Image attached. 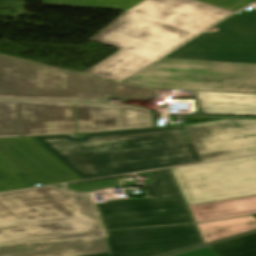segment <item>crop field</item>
Listing matches in <instances>:
<instances>
[{"instance_id":"8a807250","label":"crop field","mask_w":256,"mask_h":256,"mask_svg":"<svg viewBox=\"0 0 256 256\" xmlns=\"http://www.w3.org/2000/svg\"><path fill=\"white\" fill-rule=\"evenodd\" d=\"M88 194L39 188L0 194V256H159L203 244L196 225L105 231Z\"/></svg>"},{"instance_id":"ac0d7876","label":"crop field","mask_w":256,"mask_h":256,"mask_svg":"<svg viewBox=\"0 0 256 256\" xmlns=\"http://www.w3.org/2000/svg\"><path fill=\"white\" fill-rule=\"evenodd\" d=\"M33 137L83 179L256 154V119Z\"/></svg>"},{"instance_id":"34b2d1b8","label":"crop field","mask_w":256,"mask_h":256,"mask_svg":"<svg viewBox=\"0 0 256 256\" xmlns=\"http://www.w3.org/2000/svg\"><path fill=\"white\" fill-rule=\"evenodd\" d=\"M232 13L195 0H143L91 38L120 50L84 73L123 81Z\"/></svg>"},{"instance_id":"412701ff","label":"crop field","mask_w":256,"mask_h":256,"mask_svg":"<svg viewBox=\"0 0 256 256\" xmlns=\"http://www.w3.org/2000/svg\"><path fill=\"white\" fill-rule=\"evenodd\" d=\"M150 99L154 89L0 55V98L106 102Z\"/></svg>"},{"instance_id":"f4fd0767","label":"crop field","mask_w":256,"mask_h":256,"mask_svg":"<svg viewBox=\"0 0 256 256\" xmlns=\"http://www.w3.org/2000/svg\"><path fill=\"white\" fill-rule=\"evenodd\" d=\"M125 82L151 88L256 93V65L162 58Z\"/></svg>"},{"instance_id":"dd49c442","label":"crop field","mask_w":256,"mask_h":256,"mask_svg":"<svg viewBox=\"0 0 256 256\" xmlns=\"http://www.w3.org/2000/svg\"><path fill=\"white\" fill-rule=\"evenodd\" d=\"M171 171L188 205L256 195V156Z\"/></svg>"},{"instance_id":"e52e79f7","label":"crop field","mask_w":256,"mask_h":256,"mask_svg":"<svg viewBox=\"0 0 256 256\" xmlns=\"http://www.w3.org/2000/svg\"><path fill=\"white\" fill-rule=\"evenodd\" d=\"M215 27L202 32L165 57L219 60L256 64V10L235 13Z\"/></svg>"},{"instance_id":"d8731c3e","label":"crop field","mask_w":256,"mask_h":256,"mask_svg":"<svg viewBox=\"0 0 256 256\" xmlns=\"http://www.w3.org/2000/svg\"><path fill=\"white\" fill-rule=\"evenodd\" d=\"M74 133L73 103L0 100V138Z\"/></svg>"},{"instance_id":"5a996713","label":"crop field","mask_w":256,"mask_h":256,"mask_svg":"<svg viewBox=\"0 0 256 256\" xmlns=\"http://www.w3.org/2000/svg\"><path fill=\"white\" fill-rule=\"evenodd\" d=\"M96 205L105 230L194 223L182 196L115 200Z\"/></svg>"},{"instance_id":"3316defc","label":"crop field","mask_w":256,"mask_h":256,"mask_svg":"<svg viewBox=\"0 0 256 256\" xmlns=\"http://www.w3.org/2000/svg\"><path fill=\"white\" fill-rule=\"evenodd\" d=\"M0 149L36 182L50 185L82 179L32 137L1 138Z\"/></svg>"},{"instance_id":"28ad6ade","label":"crop field","mask_w":256,"mask_h":256,"mask_svg":"<svg viewBox=\"0 0 256 256\" xmlns=\"http://www.w3.org/2000/svg\"><path fill=\"white\" fill-rule=\"evenodd\" d=\"M78 133L152 127L151 110L128 105L76 104Z\"/></svg>"},{"instance_id":"d1516ede","label":"crop field","mask_w":256,"mask_h":256,"mask_svg":"<svg viewBox=\"0 0 256 256\" xmlns=\"http://www.w3.org/2000/svg\"><path fill=\"white\" fill-rule=\"evenodd\" d=\"M197 109L203 113L256 115V94L196 91Z\"/></svg>"},{"instance_id":"22f410ed","label":"crop field","mask_w":256,"mask_h":256,"mask_svg":"<svg viewBox=\"0 0 256 256\" xmlns=\"http://www.w3.org/2000/svg\"><path fill=\"white\" fill-rule=\"evenodd\" d=\"M195 223L256 213V196L188 206Z\"/></svg>"},{"instance_id":"cbeb9de0","label":"crop field","mask_w":256,"mask_h":256,"mask_svg":"<svg viewBox=\"0 0 256 256\" xmlns=\"http://www.w3.org/2000/svg\"><path fill=\"white\" fill-rule=\"evenodd\" d=\"M141 0H43V4L127 10ZM228 10L237 11L252 0H198Z\"/></svg>"},{"instance_id":"5142ce71","label":"crop field","mask_w":256,"mask_h":256,"mask_svg":"<svg viewBox=\"0 0 256 256\" xmlns=\"http://www.w3.org/2000/svg\"><path fill=\"white\" fill-rule=\"evenodd\" d=\"M204 242L213 241L256 228L252 216L196 224Z\"/></svg>"},{"instance_id":"d9b57169","label":"crop field","mask_w":256,"mask_h":256,"mask_svg":"<svg viewBox=\"0 0 256 256\" xmlns=\"http://www.w3.org/2000/svg\"><path fill=\"white\" fill-rule=\"evenodd\" d=\"M154 181L142 185L149 197L182 195L170 169L151 172Z\"/></svg>"},{"instance_id":"733c2abd","label":"crop field","mask_w":256,"mask_h":256,"mask_svg":"<svg viewBox=\"0 0 256 256\" xmlns=\"http://www.w3.org/2000/svg\"><path fill=\"white\" fill-rule=\"evenodd\" d=\"M219 256H256V233L209 246Z\"/></svg>"},{"instance_id":"4a817a6b","label":"crop field","mask_w":256,"mask_h":256,"mask_svg":"<svg viewBox=\"0 0 256 256\" xmlns=\"http://www.w3.org/2000/svg\"><path fill=\"white\" fill-rule=\"evenodd\" d=\"M118 185H122L120 180L72 184V185H66V189L73 193H80V192L96 191V190L108 188L111 186H118Z\"/></svg>"},{"instance_id":"bc2a9ffb","label":"crop field","mask_w":256,"mask_h":256,"mask_svg":"<svg viewBox=\"0 0 256 256\" xmlns=\"http://www.w3.org/2000/svg\"><path fill=\"white\" fill-rule=\"evenodd\" d=\"M178 256H218L217 254H215L211 249H209L208 247L206 248H202L199 250H195L192 252H188L185 254H181Z\"/></svg>"}]
</instances>
